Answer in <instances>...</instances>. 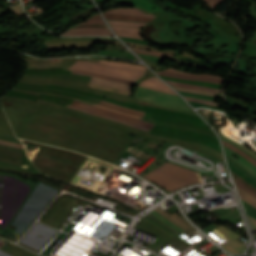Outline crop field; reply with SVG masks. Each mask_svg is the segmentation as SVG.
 Returning a JSON list of instances; mask_svg holds the SVG:
<instances>
[{"label":"crop field","instance_id":"7","mask_svg":"<svg viewBox=\"0 0 256 256\" xmlns=\"http://www.w3.org/2000/svg\"><path fill=\"white\" fill-rule=\"evenodd\" d=\"M157 74L162 75V76L177 77V78L193 80V81H207V82H213V83H219V84L222 83V81H220V80H214V79H209V78H205V77H197V76H186V75H180V74L169 73V72H164V71H159V72H157Z\"/></svg>","mask_w":256,"mask_h":256},{"label":"crop field","instance_id":"29","mask_svg":"<svg viewBox=\"0 0 256 256\" xmlns=\"http://www.w3.org/2000/svg\"><path fill=\"white\" fill-rule=\"evenodd\" d=\"M232 176L237 179L239 182H241L242 184L246 185L247 187L251 188L252 190H254L256 192V188L250 184H248L247 182H245L243 179H241L239 176H237L235 173H233L231 171Z\"/></svg>","mask_w":256,"mask_h":256},{"label":"crop field","instance_id":"32","mask_svg":"<svg viewBox=\"0 0 256 256\" xmlns=\"http://www.w3.org/2000/svg\"><path fill=\"white\" fill-rule=\"evenodd\" d=\"M234 180H235V179H234ZM235 183H236L237 186L243 188L244 190H246V191H248V192H250L251 194H253V195L256 196V193H255V192H253V191H251L250 189H248L247 187L243 186V185H242L241 183H239L238 181L235 180ZM250 193H249V194H250Z\"/></svg>","mask_w":256,"mask_h":256},{"label":"crop field","instance_id":"11","mask_svg":"<svg viewBox=\"0 0 256 256\" xmlns=\"http://www.w3.org/2000/svg\"><path fill=\"white\" fill-rule=\"evenodd\" d=\"M62 35H66V36H75V35H103V36H113V34H112L111 31H97V30L75 31V32L62 33Z\"/></svg>","mask_w":256,"mask_h":256},{"label":"crop field","instance_id":"9","mask_svg":"<svg viewBox=\"0 0 256 256\" xmlns=\"http://www.w3.org/2000/svg\"><path fill=\"white\" fill-rule=\"evenodd\" d=\"M90 83H97V84L112 86V87L121 88V89L129 90V91L131 90V85H129V84L107 81V80H102V79H98V78H94V77H92Z\"/></svg>","mask_w":256,"mask_h":256},{"label":"crop field","instance_id":"36","mask_svg":"<svg viewBox=\"0 0 256 256\" xmlns=\"http://www.w3.org/2000/svg\"><path fill=\"white\" fill-rule=\"evenodd\" d=\"M218 135H220V134H218ZM220 136H222V135H220ZM222 137H224V136H222ZM224 138H226V137H224ZM226 139H228V138H226ZM229 140H230V139H229ZM231 141H232V140H231ZM233 142H234V141H233ZM234 143H236V142H234ZM236 144L239 145V146H241L242 148L246 149L249 153H251L254 157H256V154H254L253 152H251L249 149L243 147L242 145H240V144H238V143H236Z\"/></svg>","mask_w":256,"mask_h":256},{"label":"crop field","instance_id":"17","mask_svg":"<svg viewBox=\"0 0 256 256\" xmlns=\"http://www.w3.org/2000/svg\"><path fill=\"white\" fill-rule=\"evenodd\" d=\"M237 189L239 191V194H240L242 200H244L245 202H247L248 204H250L251 206L256 208V197L238 187H237Z\"/></svg>","mask_w":256,"mask_h":256},{"label":"crop field","instance_id":"16","mask_svg":"<svg viewBox=\"0 0 256 256\" xmlns=\"http://www.w3.org/2000/svg\"><path fill=\"white\" fill-rule=\"evenodd\" d=\"M98 104H102V105H105V106H108V107H111V108H114V109H118V110H121V111H124V112H129V113H132V114H136V115H139L141 117L144 116V113L141 112V111H137V110L121 107V106H118V105H114V104H111L107 101H101V103H98Z\"/></svg>","mask_w":256,"mask_h":256},{"label":"crop field","instance_id":"22","mask_svg":"<svg viewBox=\"0 0 256 256\" xmlns=\"http://www.w3.org/2000/svg\"><path fill=\"white\" fill-rule=\"evenodd\" d=\"M223 144L227 147H229L230 149L234 150L235 152H237L238 154H240L241 156L245 157L246 159H248L250 162H252L255 166H256V161L254 159H252L251 157L247 156L246 154H244L242 151H240L238 148L234 147L233 145L224 142Z\"/></svg>","mask_w":256,"mask_h":256},{"label":"crop field","instance_id":"25","mask_svg":"<svg viewBox=\"0 0 256 256\" xmlns=\"http://www.w3.org/2000/svg\"><path fill=\"white\" fill-rule=\"evenodd\" d=\"M147 217L151 218L152 220H154L156 223H158L159 225H161L162 227H164L165 229H167L168 231H170L173 234H178L179 232L175 231L174 229L170 228L169 226H167L166 224H164L163 222H161L160 220H158L156 217H154L152 214H147Z\"/></svg>","mask_w":256,"mask_h":256},{"label":"crop field","instance_id":"37","mask_svg":"<svg viewBox=\"0 0 256 256\" xmlns=\"http://www.w3.org/2000/svg\"><path fill=\"white\" fill-rule=\"evenodd\" d=\"M132 49L137 50V51H147V50H142V49H137V48H132ZM147 52H151V51H147ZM152 53H156V52H152ZM157 54H164V55L172 56V55L165 54V53H157Z\"/></svg>","mask_w":256,"mask_h":256},{"label":"crop field","instance_id":"34","mask_svg":"<svg viewBox=\"0 0 256 256\" xmlns=\"http://www.w3.org/2000/svg\"><path fill=\"white\" fill-rule=\"evenodd\" d=\"M221 139L224 140V141H227V142H229V143H231V144H233V145H235V146H237L236 144H234V143H232V142H230V141H228V140H226V139H224V138H222V137H221ZM235 146H234V147H235ZM237 147H238L239 149H241L244 153H246V154H248L249 156H251L252 158H254L252 155H250L251 153L249 154L248 152H246V151H245L244 149H242L241 147H239V146H237ZM237 147H236V148H237ZM254 159L256 160V158H254Z\"/></svg>","mask_w":256,"mask_h":256},{"label":"crop field","instance_id":"23","mask_svg":"<svg viewBox=\"0 0 256 256\" xmlns=\"http://www.w3.org/2000/svg\"><path fill=\"white\" fill-rule=\"evenodd\" d=\"M150 213H152L153 215H155L156 217H158L159 219H161L163 222H165L167 225L175 228L176 230H178L179 232L183 233L185 232L183 229L177 227L176 225H174L172 222H170L169 220L165 219L164 217H162L161 215H159L157 212H155L154 210L151 211Z\"/></svg>","mask_w":256,"mask_h":256},{"label":"crop field","instance_id":"26","mask_svg":"<svg viewBox=\"0 0 256 256\" xmlns=\"http://www.w3.org/2000/svg\"><path fill=\"white\" fill-rule=\"evenodd\" d=\"M164 71L175 72V73H180V74H187V75L206 76V77L215 78V79H221V80L225 79L223 77L209 76V75H205V74H190V73H186V72L175 70V69H171V68H168V69H166Z\"/></svg>","mask_w":256,"mask_h":256},{"label":"crop field","instance_id":"13","mask_svg":"<svg viewBox=\"0 0 256 256\" xmlns=\"http://www.w3.org/2000/svg\"><path fill=\"white\" fill-rule=\"evenodd\" d=\"M72 73L84 74V75L94 76V77H98V78H102V79L125 82V83H129V84L133 83V81H130V80L111 77V76H106V75H101V74H96V73H90V72H85V71H72Z\"/></svg>","mask_w":256,"mask_h":256},{"label":"crop field","instance_id":"6","mask_svg":"<svg viewBox=\"0 0 256 256\" xmlns=\"http://www.w3.org/2000/svg\"><path fill=\"white\" fill-rule=\"evenodd\" d=\"M224 148H225V154L227 156H229L231 159H233L239 165H241L242 167H244L245 169H247L249 172H251L253 175L256 176V167L253 164H251L248 160L241 157L240 155H238L234 151L230 150L229 148H227L225 146H224ZM231 154H234V156H236L238 159L232 157Z\"/></svg>","mask_w":256,"mask_h":256},{"label":"crop field","instance_id":"2","mask_svg":"<svg viewBox=\"0 0 256 256\" xmlns=\"http://www.w3.org/2000/svg\"><path fill=\"white\" fill-rule=\"evenodd\" d=\"M147 69L141 65L101 60L100 63L77 61L68 70H85L136 81Z\"/></svg>","mask_w":256,"mask_h":256},{"label":"crop field","instance_id":"10","mask_svg":"<svg viewBox=\"0 0 256 256\" xmlns=\"http://www.w3.org/2000/svg\"><path fill=\"white\" fill-rule=\"evenodd\" d=\"M102 13H116V14H126V15L153 17L151 15L144 14V13H142L139 10L134 9V8H120V9H116V10L105 11V12H102Z\"/></svg>","mask_w":256,"mask_h":256},{"label":"crop field","instance_id":"33","mask_svg":"<svg viewBox=\"0 0 256 256\" xmlns=\"http://www.w3.org/2000/svg\"><path fill=\"white\" fill-rule=\"evenodd\" d=\"M208 6L213 8L220 0H204Z\"/></svg>","mask_w":256,"mask_h":256},{"label":"crop field","instance_id":"18","mask_svg":"<svg viewBox=\"0 0 256 256\" xmlns=\"http://www.w3.org/2000/svg\"><path fill=\"white\" fill-rule=\"evenodd\" d=\"M138 102L139 103H144V104H152V105L171 107V108H176V109H181V110H186V111L193 112V110L189 109V108H184V107H179V106H174V105H169V104H163V103H157V102H152V101H148V100L138 99Z\"/></svg>","mask_w":256,"mask_h":256},{"label":"crop field","instance_id":"28","mask_svg":"<svg viewBox=\"0 0 256 256\" xmlns=\"http://www.w3.org/2000/svg\"><path fill=\"white\" fill-rule=\"evenodd\" d=\"M184 98H185L186 100H189V101H194V102H198V103H203V104H208V105L223 107L222 105H219V104H216V103H213V102H209V101H205V100L193 99V98H186V97H184Z\"/></svg>","mask_w":256,"mask_h":256},{"label":"crop field","instance_id":"1","mask_svg":"<svg viewBox=\"0 0 256 256\" xmlns=\"http://www.w3.org/2000/svg\"><path fill=\"white\" fill-rule=\"evenodd\" d=\"M144 177L165 187L170 192L188 184L202 182L197 172L169 162Z\"/></svg>","mask_w":256,"mask_h":256},{"label":"crop field","instance_id":"35","mask_svg":"<svg viewBox=\"0 0 256 256\" xmlns=\"http://www.w3.org/2000/svg\"><path fill=\"white\" fill-rule=\"evenodd\" d=\"M248 218H249V221L251 223L252 230H256V220L251 218V217H249V216H248Z\"/></svg>","mask_w":256,"mask_h":256},{"label":"crop field","instance_id":"15","mask_svg":"<svg viewBox=\"0 0 256 256\" xmlns=\"http://www.w3.org/2000/svg\"><path fill=\"white\" fill-rule=\"evenodd\" d=\"M107 21L109 25L135 27V28H141L147 25L146 23L131 22V21H115V20H107Z\"/></svg>","mask_w":256,"mask_h":256},{"label":"crop field","instance_id":"31","mask_svg":"<svg viewBox=\"0 0 256 256\" xmlns=\"http://www.w3.org/2000/svg\"><path fill=\"white\" fill-rule=\"evenodd\" d=\"M96 107H100V108L107 109V110L114 111V112H118V113L127 114V115H130V116H133V117H136V118L142 119V120L144 119V118L137 117V116L132 115V114H129V113H124V112H121V111H118V110H114V109H111V108H108V107H104V106H101V105H98V104H96Z\"/></svg>","mask_w":256,"mask_h":256},{"label":"crop field","instance_id":"3","mask_svg":"<svg viewBox=\"0 0 256 256\" xmlns=\"http://www.w3.org/2000/svg\"><path fill=\"white\" fill-rule=\"evenodd\" d=\"M134 96L142 99H148L152 101L188 107L186 103L179 96L169 95V94L161 93V92L146 89V88L138 87Z\"/></svg>","mask_w":256,"mask_h":256},{"label":"crop field","instance_id":"5","mask_svg":"<svg viewBox=\"0 0 256 256\" xmlns=\"http://www.w3.org/2000/svg\"><path fill=\"white\" fill-rule=\"evenodd\" d=\"M139 86H143V87H146V88L162 91V92H165V93L176 94L172 89H170L163 82H161L156 76L151 78V79H147L145 81H142L139 84Z\"/></svg>","mask_w":256,"mask_h":256},{"label":"crop field","instance_id":"30","mask_svg":"<svg viewBox=\"0 0 256 256\" xmlns=\"http://www.w3.org/2000/svg\"><path fill=\"white\" fill-rule=\"evenodd\" d=\"M80 24H105V23H104L103 19H93V20H87V21L79 23L77 25H80Z\"/></svg>","mask_w":256,"mask_h":256},{"label":"crop field","instance_id":"38","mask_svg":"<svg viewBox=\"0 0 256 256\" xmlns=\"http://www.w3.org/2000/svg\"><path fill=\"white\" fill-rule=\"evenodd\" d=\"M139 53H143V52H139ZM143 54L153 55V56H159V57H168V56H160V55H154V54H149V53H143ZM168 58H171V57H168Z\"/></svg>","mask_w":256,"mask_h":256},{"label":"crop field","instance_id":"4","mask_svg":"<svg viewBox=\"0 0 256 256\" xmlns=\"http://www.w3.org/2000/svg\"><path fill=\"white\" fill-rule=\"evenodd\" d=\"M72 105L77 106V107L86 108L90 111L101 113V114H104V115H107V116H111V117H114V118H117V119H120V120H123V121H127V122H130V123H133V124H139L143 127H147L148 124H149V122H146V121H142V120L132 118V117H128V116H125V115H122V114H118V113L110 112V111L103 110V109H100V108H96V107L90 106L88 104L78 102L76 100H74Z\"/></svg>","mask_w":256,"mask_h":256},{"label":"crop field","instance_id":"19","mask_svg":"<svg viewBox=\"0 0 256 256\" xmlns=\"http://www.w3.org/2000/svg\"><path fill=\"white\" fill-rule=\"evenodd\" d=\"M170 85H175V86H181V87H189V88H197V89H203V90H210V91H215L217 93H221L220 90L214 89V88H208V87H201V86H194V85H188V84H182V83H177V82H172V81H167Z\"/></svg>","mask_w":256,"mask_h":256},{"label":"crop field","instance_id":"14","mask_svg":"<svg viewBox=\"0 0 256 256\" xmlns=\"http://www.w3.org/2000/svg\"><path fill=\"white\" fill-rule=\"evenodd\" d=\"M104 16L105 18H108V19L135 20V21H145V22H151L153 19L148 17L120 16V15H106V14H104Z\"/></svg>","mask_w":256,"mask_h":256},{"label":"crop field","instance_id":"8","mask_svg":"<svg viewBox=\"0 0 256 256\" xmlns=\"http://www.w3.org/2000/svg\"><path fill=\"white\" fill-rule=\"evenodd\" d=\"M111 28H112L119 36L141 39L140 36H139V34H138L139 29H135V28H125V27H116V26H111Z\"/></svg>","mask_w":256,"mask_h":256},{"label":"crop field","instance_id":"12","mask_svg":"<svg viewBox=\"0 0 256 256\" xmlns=\"http://www.w3.org/2000/svg\"><path fill=\"white\" fill-rule=\"evenodd\" d=\"M227 238L231 239L232 241L227 243L226 245H224L223 247L231 252L234 253H242V250L245 248L242 245L238 244L237 242H235L234 240L239 238L235 235H230Z\"/></svg>","mask_w":256,"mask_h":256},{"label":"crop field","instance_id":"40","mask_svg":"<svg viewBox=\"0 0 256 256\" xmlns=\"http://www.w3.org/2000/svg\"><path fill=\"white\" fill-rule=\"evenodd\" d=\"M91 18H101L100 14H95L94 16H92Z\"/></svg>","mask_w":256,"mask_h":256},{"label":"crop field","instance_id":"20","mask_svg":"<svg viewBox=\"0 0 256 256\" xmlns=\"http://www.w3.org/2000/svg\"><path fill=\"white\" fill-rule=\"evenodd\" d=\"M82 29H106L109 30L106 25H80V26H74L69 30H82ZM67 30V31H69Z\"/></svg>","mask_w":256,"mask_h":256},{"label":"crop field","instance_id":"39","mask_svg":"<svg viewBox=\"0 0 256 256\" xmlns=\"http://www.w3.org/2000/svg\"><path fill=\"white\" fill-rule=\"evenodd\" d=\"M182 96H189V97H194V96H190V95H184V94H182ZM197 98H200V97H197ZM201 99H207V100H211V101H214L213 99H208V98H201Z\"/></svg>","mask_w":256,"mask_h":256},{"label":"crop field","instance_id":"24","mask_svg":"<svg viewBox=\"0 0 256 256\" xmlns=\"http://www.w3.org/2000/svg\"><path fill=\"white\" fill-rule=\"evenodd\" d=\"M174 88L177 89V90H181V91L205 94V95H210V96H216L217 95V93H211V92H206V91H202V90L187 89V88H180V87H174Z\"/></svg>","mask_w":256,"mask_h":256},{"label":"crop field","instance_id":"21","mask_svg":"<svg viewBox=\"0 0 256 256\" xmlns=\"http://www.w3.org/2000/svg\"><path fill=\"white\" fill-rule=\"evenodd\" d=\"M67 106H68V107H72V108L79 109V110L84 111V112H86V113L95 114V115L103 116V117H106V118H109V119H113V120L119 121V122H121V123L127 124V125H129V126L140 128V129L145 130V131H149V130H150V129L143 128V127H141V126H139V125H133V124L126 123V122H123V121H120V120H117V119H114V118H110V117H107V116H104V115H101V114L93 113V112H90V111H88V110H86V109L77 108V107H73V106H69V105H67Z\"/></svg>","mask_w":256,"mask_h":256},{"label":"crop field","instance_id":"27","mask_svg":"<svg viewBox=\"0 0 256 256\" xmlns=\"http://www.w3.org/2000/svg\"><path fill=\"white\" fill-rule=\"evenodd\" d=\"M10 11L12 13H14L15 15H17V16H24L25 15L19 3L16 4L14 7H12L10 9Z\"/></svg>","mask_w":256,"mask_h":256}]
</instances>
